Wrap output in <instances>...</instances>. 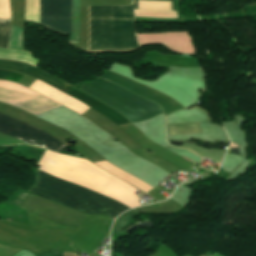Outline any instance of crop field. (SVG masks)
Returning a JSON list of instances; mask_svg holds the SVG:
<instances>
[{"label": "crop field", "instance_id": "8a807250", "mask_svg": "<svg viewBox=\"0 0 256 256\" xmlns=\"http://www.w3.org/2000/svg\"><path fill=\"white\" fill-rule=\"evenodd\" d=\"M139 48L133 27V5L90 6L89 50Z\"/></svg>", "mask_w": 256, "mask_h": 256}, {"label": "crop field", "instance_id": "ac0d7876", "mask_svg": "<svg viewBox=\"0 0 256 256\" xmlns=\"http://www.w3.org/2000/svg\"><path fill=\"white\" fill-rule=\"evenodd\" d=\"M29 191L87 214L107 213L115 218L129 209L99 193L39 170L36 171V184Z\"/></svg>", "mask_w": 256, "mask_h": 256}, {"label": "crop field", "instance_id": "34b2d1b8", "mask_svg": "<svg viewBox=\"0 0 256 256\" xmlns=\"http://www.w3.org/2000/svg\"><path fill=\"white\" fill-rule=\"evenodd\" d=\"M82 91L117 109L131 122L150 119L163 113L156 103L138 97L100 78L91 83L83 84Z\"/></svg>", "mask_w": 256, "mask_h": 256}, {"label": "crop field", "instance_id": "412701ff", "mask_svg": "<svg viewBox=\"0 0 256 256\" xmlns=\"http://www.w3.org/2000/svg\"><path fill=\"white\" fill-rule=\"evenodd\" d=\"M0 68L14 69V70H18V71L27 73L35 78H38V79L46 82V84L51 85L61 91L63 89H65L67 86H69V85H67V84H65V83L45 74V73L38 71L39 69L37 70L33 66L26 64V63L0 60ZM63 92L71 95L72 97H74L76 99L81 100L86 105L90 106L91 108H93V109L97 110L98 112H100L101 114L105 115L106 117H108L109 119H111L112 121L117 123L118 125L129 122L127 119H125V117H123L121 114L117 113L110 107L92 99L93 97L91 98L88 95H86L70 86L68 88H66Z\"/></svg>", "mask_w": 256, "mask_h": 256}, {"label": "crop field", "instance_id": "f4fd0767", "mask_svg": "<svg viewBox=\"0 0 256 256\" xmlns=\"http://www.w3.org/2000/svg\"><path fill=\"white\" fill-rule=\"evenodd\" d=\"M0 133L59 153L65 146L48 134L0 113Z\"/></svg>", "mask_w": 256, "mask_h": 256}, {"label": "crop field", "instance_id": "dd49c442", "mask_svg": "<svg viewBox=\"0 0 256 256\" xmlns=\"http://www.w3.org/2000/svg\"><path fill=\"white\" fill-rule=\"evenodd\" d=\"M0 86L35 93L21 85L14 84L8 81H0ZM3 87H0V101H4L17 108L24 109L34 115H37L39 113H42L52 108L60 106L56 102L46 97L31 94V93L21 92L17 90L7 89Z\"/></svg>", "mask_w": 256, "mask_h": 256}, {"label": "crop field", "instance_id": "e52e79f7", "mask_svg": "<svg viewBox=\"0 0 256 256\" xmlns=\"http://www.w3.org/2000/svg\"><path fill=\"white\" fill-rule=\"evenodd\" d=\"M71 0H40V25L70 34Z\"/></svg>", "mask_w": 256, "mask_h": 256}, {"label": "crop field", "instance_id": "d8731c3e", "mask_svg": "<svg viewBox=\"0 0 256 256\" xmlns=\"http://www.w3.org/2000/svg\"><path fill=\"white\" fill-rule=\"evenodd\" d=\"M102 78L111 80L112 82H114L118 85H121V86L143 96V97H146L152 101L157 102L162 107L165 115L175 111L173 105L167 99H165L149 90H146L119 75H116L112 72H107V73H105V75Z\"/></svg>", "mask_w": 256, "mask_h": 256}, {"label": "crop field", "instance_id": "5a996713", "mask_svg": "<svg viewBox=\"0 0 256 256\" xmlns=\"http://www.w3.org/2000/svg\"><path fill=\"white\" fill-rule=\"evenodd\" d=\"M137 11L171 12L170 1L136 0ZM172 12L174 0H171ZM134 9L136 10L135 0Z\"/></svg>", "mask_w": 256, "mask_h": 256}, {"label": "crop field", "instance_id": "3316defc", "mask_svg": "<svg viewBox=\"0 0 256 256\" xmlns=\"http://www.w3.org/2000/svg\"><path fill=\"white\" fill-rule=\"evenodd\" d=\"M79 6H80V0H73L72 27H71V37L69 39V42L76 43V44H78L79 35H80Z\"/></svg>", "mask_w": 256, "mask_h": 256}, {"label": "crop field", "instance_id": "28ad6ade", "mask_svg": "<svg viewBox=\"0 0 256 256\" xmlns=\"http://www.w3.org/2000/svg\"><path fill=\"white\" fill-rule=\"evenodd\" d=\"M25 21L39 24V0H26Z\"/></svg>", "mask_w": 256, "mask_h": 256}, {"label": "crop field", "instance_id": "d1516ede", "mask_svg": "<svg viewBox=\"0 0 256 256\" xmlns=\"http://www.w3.org/2000/svg\"><path fill=\"white\" fill-rule=\"evenodd\" d=\"M22 39H23L22 29L12 25L11 31H10V42H9L8 48L22 50Z\"/></svg>", "mask_w": 256, "mask_h": 256}, {"label": "crop field", "instance_id": "22f410ed", "mask_svg": "<svg viewBox=\"0 0 256 256\" xmlns=\"http://www.w3.org/2000/svg\"><path fill=\"white\" fill-rule=\"evenodd\" d=\"M200 132L197 124L168 126V134H186Z\"/></svg>", "mask_w": 256, "mask_h": 256}, {"label": "crop field", "instance_id": "cbeb9de0", "mask_svg": "<svg viewBox=\"0 0 256 256\" xmlns=\"http://www.w3.org/2000/svg\"><path fill=\"white\" fill-rule=\"evenodd\" d=\"M11 20L0 19V47L7 48Z\"/></svg>", "mask_w": 256, "mask_h": 256}, {"label": "crop field", "instance_id": "5142ce71", "mask_svg": "<svg viewBox=\"0 0 256 256\" xmlns=\"http://www.w3.org/2000/svg\"><path fill=\"white\" fill-rule=\"evenodd\" d=\"M194 154V153H193ZM196 155V154H195ZM196 156H198V155H196ZM199 158H201L200 156H198ZM202 159V158H201Z\"/></svg>", "mask_w": 256, "mask_h": 256}, {"label": "crop field", "instance_id": "d9b57169", "mask_svg": "<svg viewBox=\"0 0 256 256\" xmlns=\"http://www.w3.org/2000/svg\"><path fill=\"white\" fill-rule=\"evenodd\" d=\"M188 160H190V159H188ZM190 161H192V160H190ZM193 163H196V162H194V161H192Z\"/></svg>", "mask_w": 256, "mask_h": 256}]
</instances>
